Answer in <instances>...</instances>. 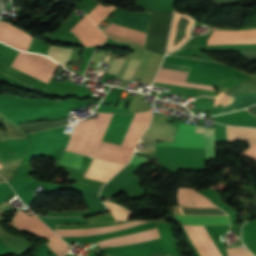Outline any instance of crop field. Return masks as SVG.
Segmentation results:
<instances>
[{"label": "crop field", "instance_id": "17", "mask_svg": "<svg viewBox=\"0 0 256 256\" xmlns=\"http://www.w3.org/2000/svg\"><path fill=\"white\" fill-rule=\"evenodd\" d=\"M49 243L46 245L57 255L64 256V254L69 250V246L64 243L58 236L54 233L48 238Z\"/></svg>", "mask_w": 256, "mask_h": 256}, {"label": "crop field", "instance_id": "9", "mask_svg": "<svg viewBox=\"0 0 256 256\" xmlns=\"http://www.w3.org/2000/svg\"><path fill=\"white\" fill-rule=\"evenodd\" d=\"M61 128L33 133L32 143L64 150L70 135L61 132Z\"/></svg>", "mask_w": 256, "mask_h": 256}, {"label": "crop field", "instance_id": "18", "mask_svg": "<svg viewBox=\"0 0 256 256\" xmlns=\"http://www.w3.org/2000/svg\"><path fill=\"white\" fill-rule=\"evenodd\" d=\"M187 73L185 71L161 68L157 77L186 81Z\"/></svg>", "mask_w": 256, "mask_h": 256}, {"label": "crop field", "instance_id": "1", "mask_svg": "<svg viewBox=\"0 0 256 256\" xmlns=\"http://www.w3.org/2000/svg\"><path fill=\"white\" fill-rule=\"evenodd\" d=\"M112 115L98 113L97 119L77 124L66 151L94 157Z\"/></svg>", "mask_w": 256, "mask_h": 256}, {"label": "crop field", "instance_id": "26", "mask_svg": "<svg viewBox=\"0 0 256 256\" xmlns=\"http://www.w3.org/2000/svg\"><path fill=\"white\" fill-rule=\"evenodd\" d=\"M146 160H147L146 158L136 156V155H134L133 159H132V161L139 162V163H142V164H144L146 162Z\"/></svg>", "mask_w": 256, "mask_h": 256}, {"label": "crop field", "instance_id": "8", "mask_svg": "<svg viewBox=\"0 0 256 256\" xmlns=\"http://www.w3.org/2000/svg\"><path fill=\"white\" fill-rule=\"evenodd\" d=\"M134 149L102 141L95 157L126 164Z\"/></svg>", "mask_w": 256, "mask_h": 256}, {"label": "crop field", "instance_id": "20", "mask_svg": "<svg viewBox=\"0 0 256 256\" xmlns=\"http://www.w3.org/2000/svg\"><path fill=\"white\" fill-rule=\"evenodd\" d=\"M155 82L214 90L213 87L209 85H202V84H195V83H188V82L183 83V82H177V81H171V80H165V79H159V78H156Z\"/></svg>", "mask_w": 256, "mask_h": 256}, {"label": "crop field", "instance_id": "10", "mask_svg": "<svg viewBox=\"0 0 256 256\" xmlns=\"http://www.w3.org/2000/svg\"><path fill=\"white\" fill-rule=\"evenodd\" d=\"M195 127L180 124L173 143L162 142L156 145L204 147L203 135L194 133Z\"/></svg>", "mask_w": 256, "mask_h": 256}, {"label": "crop field", "instance_id": "24", "mask_svg": "<svg viewBox=\"0 0 256 256\" xmlns=\"http://www.w3.org/2000/svg\"><path fill=\"white\" fill-rule=\"evenodd\" d=\"M240 154L245 155V156H249L253 159H256V145L249 146L246 150H244Z\"/></svg>", "mask_w": 256, "mask_h": 256}, {"label": "crop field", "instance_id": "13", "mask_svg": "<svg viewBox=\"0 0 256 256\" xmlns=\"http://www.w3.org/2000/svg\"><path fill=\"white\" fill-rule=\"evenodd\" d=\"M253 104H256V93L229 99L225 101V105L222 113H225L231 110L242 109Z\"/></svg>", "mask_w": 256, "mask_h": 256}, {"label": "crop field", "instance_id": "14", "mask_svg": "<svg viewBox=\"0 0 256 256\" xmlns=\"http://www.w3.org/2000/svg\"><path fill=\"white\" fill-rule=\"evenodd\" d=\"M195 132L204 134L206 160L215 159L214 129L197 126Z\"/></svg>", "mask_w": 256, "mask_h": 256}, {"label": "crop field", "instance_id": "6", "mask_svg": "<svg viewBox=\"0 0 256 256\" xmlns=\"http://www.w3.org/2000/svg\"><path fill=\"white\" fill-rule=\"evenodd\" d=\"M33 37L4 22H0V41L20 50H28Z\"/></svg>", "mask_w": 256, "mask_h": 256}, {"label": "crop field", "instance_id": "15", "mask_svg": "<svg viewBox=\"0 0 256 256\" xmlns=\"http://www.w3.org/2000/svg\"><path fill=\"white\" fill-rule=\"evenodd\" d=\"M210 256H221L204 226H193Z\"/></svg>", "mask_w": 256, "mask_h": 256}, {"label": "crop field", "instance_id": "16", "mask_svg": "<svg viewBox=\"0 0 256 256\" xmlns=\"http://www.w3.org/2000/svg\"><path fill=\"white\" fill-rule=\"evenodd\" d=\"M73 49L50 46L47 56L53 58L63 66H66Z\"/></svg>", "mask_w": 256, "mask_h": 256}, {"label": "crop field", "instance_id": "11", "mask_svg": "<svg viewBox=\"0 0 256 256\" xmlns=\"http://www.w3.org/2000/svg\"><path fill=\"white\" fill-rule=\"evenodd\" d=\"M150 15L147 12L131 13L122 10L111 23L147 32Z\"/></svg>", "mask_w": 256, "mask_h": 256}, {"label": "crop field", "instance_id": "25", "mask_svg": "<svg viewBox=\"0 0 256 256\" xmlns=\"http://www.w3.org/2000/svg\"><path fill=\"white\" fill-rule=\"evenodd\" d=\"M161 67H164V68H171V69H178V70H185V71H188L190 67H187V66H180V65H173V64H166V63H163Z\"/></svg>", "mask_w": 256, "mask_h": 256}, {"label": "crop field", "instance_id": "27", "mask_svg": "<svg viewBox=\"0 0 256 256\" xmlns=\"http://www.w3.org/2000/svg\"><path fill=\"white\" fill-rule=\"evenodd\" d=\"M251 113L256 114V106L247 108Z\"/></svg>", "mask_w": 256, "mask_h": 256}, {"label": "crop field", "instance_id": "22", "mask_svg": "<svg viewBox=\"0 0 256 256\" xmlns=\"http://www.w3.org/2000/svg\"><path fill=\"white\" fill-rule=\"evenodd\" d=\"M228 256H253L245 247L226 249Z\"/></svg>", "mask_w": 256, "mask_h": 256}, {"label": "crop field", "instance_id": "28", "mask_svg": "<svg viewBox=\"0 0 256 256\" xmlns=\"http://www.w3.org/2000/svg\"><path fill=\"white\" fill-rule=\"evenodd\" d=\"M101 53H103V52H101ZM101 53H98V54H101ZM97 55V54H96Z\"/></svg>", "mask_w": 256, "mask_h": 256}, {"label": "crop field", "instance_id": "12", "mask_svg": "<svg viewBox=\"0 0 256 256\" xmlns=\"http://www.w3.org/2000/svg\"><path fill=\"white\" fill-rule=\"evenodd\" d=\"M227 141L245 140L249 145L256 144V129L226 126Z\"/></svg>", "mask_w": 256, "mask_h": 256}, {"label": "crop field", "instance_id": "3", "mask_svg": "<svg viewBox=\"0 0 256 256\" xmlns=\"http://www.w3.org/2000/svg\"><path fill=\"white\" fill-rule=\"evenodd\" d=\"M177 201L180 204L191 205L193 207H215L212 202H210L204 196L198 194L193 189L179 188L177 193ZM174 216L186 223L192 225H218V224H229L228 216L221 217H193L185 215Z\"/></svg>", "mask_w": 256, "mask_h": 256}, {"label": "crop field", "instance_id": "23", "mask_svg": "<svg viewBox=\"0 0 256 256\" xmlns=\"http://www.w3.org/2000/svg\"><path fill=\"white\" fill-rule=\"evenodd\" d=\"M139 62L140 61H138V60H134V59L131 60L129 66H128V68H127V70H126V72H125V74L123 76L124 79L131 80V78H132V76H133V74H134V72H135Z\"/></svg>", "mask_w": 256, "mask_h": 256}, {"label": "crop field", "instance_id": "5", "mask_svg": "<svg viewBox=\"0 0 256 256\" xmlns=\"http://www.w3.org/2000/svg\"><path fill=\"white\" fill-rule=\"evenodd\" d=\"M256 43V30L213 31L207 45Z\"/></svg>", "mask_w": 256, "mask_h": 256}, {"label": "crop field", "instance_id": "21", "mask_svg": "<svg viewBox=\"0 0 256 256\" xmlns=\"http://www.w3.org/2000/svg\"><path fill=\"white\" fill-rule=\"evenodd\" d=\"M126 58L113 59L107 73L117 74Z\"/></svg>", "mask_w": 256, "mask_h": 256}, {"label": "crop field", "instance_id": "7", "mask_svg": "<svg viewBox=\"0 0 256 256\" xmlns=\"http://www.w3.org/2000/svg\"><path fill=\"white\" fill-rule=\"evenodd\" d=\"M15 228L19 231L24 230L37 236L48 238L53 232L35 215L28 216L19 210L14 219Z\"/></svg>", "mask_w": 256, "mask_h": 256}, {"label": "crop field", "instance_id": "4", "mask_svg": "<svg viewBox=\"0 0 256 256\" xmlns=\"http://www.w3.org/2000/svg\"><path fill=\"white\" fill-rule=\"evenodd\" d=\"M12 67L28 73L44 82H48L57 64L41 55L19 52Z\"/></svg>", "mask_w": 256, "mask_h": 256}, {"label": "crop field", "instance_id": "29", "mask_svg": "<svg viewBox=\"0 0 256 256\" xmlns=\"http://www.w3.org/2000/svg\"><path fill=\"white\" fill-rule=\"evenodd\" d=\"M2 166L0 165V168H1Z\"/></svg>", "mask_w": 256, "mask_h": 256}, {"label": "crop field", "instance_id": "19", "mask_svg": "<svg viewBox=\"0 0 256 256\" xmlns=\"http://www.w3.org/2000/svg\"><path fill=\"white\" fill-rule=\"evenodd\" d=\"M82 157L83 156L81 155L72 154L64 151L58 163L65 164V165L72 166L79 169Z\"/></svg>", "mask_w": 256, "mask_h": 256}, {"label": "crop field", "instance_id": "2", "mask_svg": "<svg viewBox=\"0 0 256 256\" xmlns=\"http://www.w3.org/2000/svg\"><path fill=\"white\" fill-rule=\"evenodd\" d=\"M151 222V221H149ZM147 223L145 221H132L121 225H115V226H106V227H96V228H86V229H74V230H62L57 229L56 233L60 236H83V235H96L101 233H106L110 231L115 230H121L125 229L127 227L139 225ZM159 233L157 230L130 236V237H124V238H117V239H110L105 240L101 242H97L101 247H110V246H120L125 244H131V243H140L147 240H152L159 238Z\"/></svg>", "mask_w": 256, "mask_h": 256}]
</instances>
